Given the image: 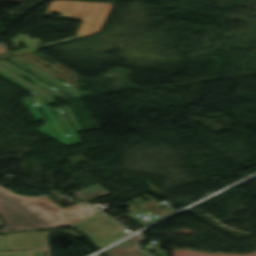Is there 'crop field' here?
Masks as SVG:
<instances>
[{
	"mask_svg": "<svg viewBox=\"0 0 256 256\" xmlns=\"http://www.w3.org/2000/svg\"><path fill=\"white\" fill-rule=\"evenodd\" d=\"M108 194L111 193L102 188L99 184H95L73 193L74 196L79 197L87 202L106 196Z\"/></svg>",
	"mask_w": 256,
	"mask_h": 256,
	"instance_id": "7",
	"label": "crop field"
},
{
	"mask_svg": "<svg viewBox=\"0 0 256 256\" xmlns=\"http://www.w3.org/2000/svg\"><path fill=\"white\" fill-rule=\"evenodd\" d=\"M8 1H17V2H22L24 0H8Z\"/></svg>",
	"mask_w": 256,
	"mask_h": 256,
	"instance_id": "12",
	"label": "crop field"
},
{
	"mask_svg": "<svg viewBox=\"0 0 256 256\" xmlns=\"http://www.w3.org/2000/svg\"><path fill=\"white\" fill-rule=\"evenodd\" d=\"M7 52V48L4 46L3 43L0 44V54Z\"/></svg>",
	"mask_w": 256,
	"mask_h": 256,
	"instance_id": "9",
	"label": "crop field"
},
{
	"mask_svg": "<svg viewBox=\"0 0 256 256\" xmlns=\"http://www.w3.org/2000/svg\"><path fill=\"white\" fill-rule=\"evenodd\" d=\"M10 56H14V55L11 54V53L4 54V55H0V60H2V59H4V58H7V57H10Z\"/></svg>",
	"mask_w": 256,
	"mask_h": 256,
	"instance_id": "11",
	"label": "crop field"
},
{
	"mask_svg": "<svg viewBox=\"0 0 256 256\" xmlns=\"http://www.w3.org/2000/svg\"><path fill=\"white\" fill-rule=\"evenodd\" d=\"M140 240L141 238L139 236L134 235L104 252L107 256H149L135 248V245Z\"/></svg>",
	"mask_w": 256,
	"mask_h": 256,
	"instance_id": "5",
	"label": "crop field"
},
{
	"mask_svg": "<svg viewBox=\"0 0 256 256\" xmlns=\"http://www.w3.org/2000/svg\"><path fill=\"white\" fill-rule=\"evenodd\" d=\"M113 4L107 3H96V2H84V1H64V0H55L51 2L44 15L50 16L51 13L61 12V17L65 18H75L82 20V24L78 29L75 36L60 40L59 43L90 35L93 33L99 32L109 10ZM49 10H52L51 12ZM75 15H78L75 17ZM17 38L10 39L11 43L14 45V48H17L19 42H22L26 45L27 48L13 51L14 54L18 55L28 51H32L38 48L50 46L57 44L56 42L35 46L39 40L37 38L30 39L28 35H16ZM41 42V41H40ZM39 42V43H40Z\"/></svg>",
	"mask_w": 256,
	"mask_h": 256,
	"instance_id": "2",
	"label": "crop field"
},
{
	"mask_svg": "<svg viewBox=\"0 0 256 256\" xmlns=\"http://www.w3.org/2000/svg\"><path fill=\"white\" fill-rule=\"evenodd\" d=\"M26 54L29 55V56H31V57H33V58H35V59H37V60H39V61H41V62H43V63H45V64H47V65H49V66L51 67V69L60 72L61 74H63L64 76H66V77H68V78L71 76V75H69V74H67V73H65V72H63V71H61V70H59L58 68L54 67L53 65L49 64L48 62H46L45 60L41 59L40 57L36 56L35 54H33V53H31V52L26 53ZM26 54H22V55H19V56H21L22 58H24V59H26V60H28V61H30V62L33 63V61H35V60H33V59L27 57ZM33 64H35L36 66H38V67H40V68H42V69L48 71L49 73H51V74H53V75H55V76H57V77L63 78V79L65 80V82H67V83H69L70 85H72V86H74L75 88H77V84H78V78H77V77H78V74L72 72L71 70L65 68L64 66H62V65H60V64H58V63H54V65H56V66L62 68L63 70H65V71L71 73V74H72L71 77H73V79H70V78L67 79V78H65V77H63V76H61V75L55 73L54 71H52L51 69L47 68L46 66H44V65H42V64H40V63H38L37 61H36V63H33ZM71 80H73L75 83L72 82Z\"/></svg>",
	"mask_w": 256,
	"mask_h": 256,
	"instance_id": "6",
	"label": "crop field"
},
{
	"mask_svg": "<svg viewBox=\"0 0 256 256\" xmlns=\"http://www.w3.org/2000/svg\"><path fill=\"white\" fill-rule=\"evenodd\" d=\"M1 224V221H0ZM6 249L4 244H3V240H2V236H0V250Z\"/></svg>",
	"mask_w": 256,
	"mask_h": 256,
	"instance_id": "10",
	"label": "crop field"
},
{
	"mask_svg": "<svg viewBox=\"0 0 256 256\" xmlns=\"http://www.w3.org/2000/svg\"><path fill=\"white\" fill-rule=\"evenodd\" d=\"M9 249L47 247L42 232H20L4 235Z\"/></svg>",
	"mask_w": 256,
	"mask_h": 256,
	"instance_id": "4",
	"label": "crop field"
},
{
	"mask_svg": "<svg viewBox=\"0 0 256 256\" xmlns=\"http://www.w3.org/2000/svg\"><path fill=\"white\" fill-rule=\"evenodd\" d=\"M0 256H44L43 250L20 251V252H0Z\"/></svg>",
	"mask_w": 256,
	"mask_h": 256,
	"instance_id": "8",
	"label": "crop field"
},
{
	"mask_svg": "<svg viewBox=\"0 0 256 256\" xmlns=\"http://www.w3.org/2000/svg\"><path fill=\"white\" fill-rule=\"evenodd\" d=\"M3 189L0 188V216L6 224L0 232L64 226L97 211L82 203L61 209L45 197H21Z\"/></svg>",
	"mask_w": 256,
	"mask_h": 256,
	"instance_id": "1",
	"label": "crop field"
},
{
	"mask_svg": "<svg viewBox=\"0 0 256 256\" xmlns=\"http://www.w3.org/2000/svg\"><path fill=\"white\" fill-rule=\"evenodd\" d=\"M66 226L81 230L99 248L130 234L124 228L101 213L93 214Z\"/></svg>",
	"mask_w": 256,
	"mask_h": 256,
	"instance_id": "3",
	"label": "crop field"
}]
</instances>
